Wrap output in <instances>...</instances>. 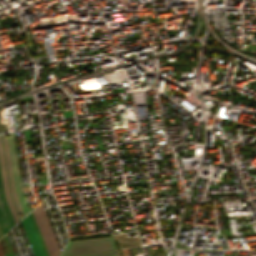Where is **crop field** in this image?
<instances>
[{"label":"crop field","mask_w":256,"mask_h":256,"mask_svg":"<svg viewBox=\"0 0 256 256\" xmlns=\"http://www.w3.org/2000/svg\"><path fill=\"white\" fill-rule=\"evenodd\" d=\"M7 139H8V145H9L16 193H17V197L19 199L20 205L22 207L23 213H24V215H26L29 212V209H28V206L23 198V189H22V183H21V177H20V171H19V165H18V159H17V153H16L13 132L10 133V137H7Z\"/></svg>","instance_id":"34b2d1b8"},{"label":"crop field","mask_w":256,"mask_h":256,"mask_svg":"<svg viewBox=\"0 0 256 256\" xmlns=\"http://www.w3.org/2000/svg\"><path fill=\"white\" fill-rule=\"evenodd\" d=\"M83 256H115L114 251L111 252H104V253H97V254H90V255H83Z\"/></svg>","instance_id":"dd49c442"},{"label":"crop field","mask_w":256,"mask_h":256,"mask_svg":"<svg viewBox=\"0 0 256 256\" xmlns=\"http://www.w3.org/2000/svg\"><path fill=\"white\" fill-rule=\"evenodd\" d=\"M23 228L25 230V233L27 235V238L29 240V243L31 245V248L33 250V253L35 256H43L42 250L40 248L39 242L37 240L36 234L34 232L33 226L31 224L29 216L24 218L21 221Z\"/></svg>","instance_id":"f4fd0767"},{"label":"crop field","mask_w":256,"mask_h":256,"mask_svg":"<svg viewBox=\"0 0 256 256\" xmlns=\"http://www.w3.org/2000/svg\"><path fill=\"white\" fill-rule=\"evenodd\" d=\"M43 227L51 226L42 204L36 207ZM36 209L32 211L38 227H42ZM49 256H58L60 250L51 227L39 229Z\"/></svg>","instance_id":"ac0d7876"},{"label":"crop field","mask_w":256,"mask_h":256,"mask_svg":"<svg viewBox=\"0 0 256 256\" xmlns=\"http://www.w3.org/2000/svg\"><path fill=\"white\" fill-rule=\"evenodd\" d=\"M14 225V220L12 218L11 212L5 199L0 172V230L2 235H4L8 230H10Z\"/></svg>","instance_id":"412701ff"},{"label":"crop field","mask_w":256,"mask_h":256,"mask_svg":"<svg viewBox=\"0 0 256 256\" xmlns=\"http://www.w3.org/2000/svg\"><path fill=\"white\" fill-rule=\"evenodd\" d=\"M0 256H4V255H3V252H2V250H1V247H0Z\"/></svg>","instance_id":"e52e79f7"},{"label":"crop field","mask_w":256,"mask_h":256,"mask_svg":"<svg viewBox=\"0 0 256 256\" xmlns=\"http://www.w3.org/2000/svg\"><path fill=\"white\" fill-rule=\"evenodd\" d=\"M115 248L112 237H99L83 240L69 241L61 256H70L106 249Z\"/></svg>","instance_id":"8a807250"}]
</instances>
